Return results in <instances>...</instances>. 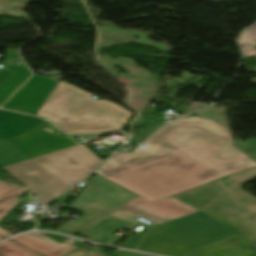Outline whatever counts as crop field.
<instances>
[{
  "label": "crop field",
  "instance_id": "obj_2",
  "mask_svg": "<svg viewBox=\"0 0 256 256\" xmlns=\"http://www.w3.org/2000/svg\"><path fill=\"white\" fill-rule=\"evenodd\" d=\"M232 144L256 161V138ZM256 177V167L195 189L174 195L214 218L239 229L256 242V197L241 189V184ZM222 182L224 186H221ZM248 239V240H249Z\"/></svg>",
  "mask_w": 256,
  "mask_h": 256
},
{
  "label": "crop field",
  "instance_id": "obj_23",
  "mask_svg": "<svg viewBox=\"0 0 256 256\" xmlns=\"http://www.w3.org/2000/svg\"><path fill=\"white\" fill-rule=\"evenodd\" d=\"M6 54L8 59L19 58L17 50L7 49Z\"/></svg>",
  "mask_w": 256,
  "mask_h": 256
},
{
  "label": "crop field",
  "instance_id": "obj_14",
  "mask_svg": "<svg viewBox=\"0 0 256 256\" xmlns=\"http://www.w3.org/2000/svg\"><path fill=\"white\" fill-rule=\"evenodd\" d=\"M6 70L13 73L0 85V105L31 75L26 67L6 65Z\"/></svg>",
  "mask_w": 256,
  "mask_h": 256
},
{
  "label": "crop field",
  "instance_id": "obj_4",
  "mask_svg": "<svg viewBox=\"0 0 256 256\" xmlns=\"http://www.w3.org/2000/svg\"><path fill=\"white\" fill-rule=\"evenodd\" d=\"M233 233L235 231L226 225L198 212L155 227L147 226L128 238L120 247L180 256Z\"/></svg>",
  "mask_w": 256,
  "mask_h": 256
},
{
  "label": "crop field",
  "instance_id": "obj_22",
  "mask_svg": "<svg viewBox=\"0 0 256 256\" xmlns=\"http://www.w3.org/2000/svg\"><path fill=\"white\" fill-rule=\"evenodd\" d=\"M18 187H19V185H17V184H10V183L0 181V198L4 195L10 193L11 191H13L14 189H16Z\"/></svg>",
  "mask_w": 256,
  "mask_h": 256
},
{
  "label": "crop field",
  "instance_id": "obj_10",
  "mask_svg": "<svg viewBox=\"0 0 256 256\" xmlns=\"http://www.w3.org/2000/svg\"><path fill=\"white\" fill-rule=\"evenodd\" d=\"M56 84L55 80L32 76L2 108L34 114Z\"/></svg>",
  "mask_w": 256,
  "mask_h": 256
},
{
  "label": "crop field",
  "instance_id": "obj_25",
  "mask_svg": "<svg viewBox=\"0 0 256 256\" xmlns=\"http://www.w3.org/2000/svg\"><path fill=\"white\" fill-rule=\"evenodd\" d=\"M194 157V156H193ZM196 158V157H195ZM199 160V159H198ZM204 163V162H203ZM206 164V163H205ZM208 165V164H207ZM208 166H210V165H208ZM211 167V166H210ZM211 168H213V167H211ZM213 169H215V168H213ZM216 170V169H215ZM216 171H218V170H216ZM218 172H220V171H218ZM221 173V172H220ZM221 174H223V173H221ZM223 175H225V174H223ZM226 176V175H225Z\"/></svg>",
  "mask_w": 256,
  "mask_h": 256
},
{
  "label": "crop field",
  "instance_id": "obj_18",
  "mask_svg": "<svg viewBox=\"0 0 256 256\" xmlns=\"http://www.w3.org/2000/svg\"><path fill=\"white\" fill-rule=\"evenodd\" d=\"M0 256H40L10 240L0 244Z\"/></svg>",
  "mask_w": 256,
  "mask_h": 256
},
{
  "label": "crop field",
  "instance_id": "obj_26",
  "mask_svg": "<svg viewBox=\"0 0 256 256\" xmlns=\"http://www.w3.org/2000/svg\"><path fill=\"white\" fill-rule=\"evenodd\" d=\"M253 247H256V244L249 246V248H253ZM255 251H256V249H255ZM254 256H256V255H254Z\"/></svg>",
  "mask_w": 256,
  "mask_h": 256
},
{
  "label": "crop field",
  "instance_id": "obj_13",
  "mask_svg": "<svg viewBox=\"0 0 256 256\" xmlns=\"http://www.w3.org/2000/svg\"><path fill=\"white\" fill-rule=\"evenodd\" d=\"M13 240L46 256H61L76 248L72 239L59 244L38 233L23 234Z\"/></svg>",
  "mask_w": 256,
  "mask_h": 256
},
{
  "label": "crop field",
  "instance_id": "obj_3",
  "mask_svg": "<svg viewBox=\"0 0 256 256\" xmlns=\"http://www.w3.org/2000/svg\"><path fill=\"white\" fill-rule=\"evenodd\" d=\"M82 93V96H79ZM60 82L37 115L54 122L67 133L88 134L119 130L133 115L106 100Z\"/></svg>",
  "mask_w": 256,
  "mask_h": 256
},
{
  "label": "crop field",
  "instance_id": "obj_6",
  "mask_svg": "<svg viewBox=\"0 0 256 256\" xmlns=\"http://www.w3.org/2000/svg\"><path fill=\"white\" fill-rule=\"evenodd\" d=\"M32 160L68 188L93 172L103 162L83 144L32 158Z\"/></svg>",
  "mask_w": 256,
  "mask_h": 256
},
{
  "label": "crop field",
  "instance_id": "obj_5",
  "mask_svg": "<svg viewBox=\"0 0 256 256\" xmlns=\"http://www.w3.org/2000/svg\"><path fill=\"white\" fill-rule=\"evenodd\" d=\"M136 195L97 174L85 186L82 194L69 205L85 214L56 232L80 235ZM86 217L89 219L84 220ZM77 221L82 223L72 226Z\"/></svg>",
  "mask_w": 256,
  "mask_h": 256
},
{
  "label": "crop field",
  "instance_id": "obj_28",
  "mask_svg": "<svg viewBox=\"0 0 256 256\" xmlns=\"http://www.w3.org/2000/svg\"><path fill=\"white\" fill-rule=\"evenodd\" d=\"M2 239H4V238H1V237H0V240H2Z\"/></svg>",
  "mask_w": 256,
  "mask_h": 256
},
{
  "label": "crop field",
  "instance_id": "obj_8",
  "mask_svg": "<svg viewBox=\"0 0 256 256\" xmlns=\"http://www.w3.org/2000/svg\"><path fill=\"white\" fill-rule=\"evenodd\" d=\"M195 212L198 211L170 196L151 202L138 195L111 213L110 216L130 221L141 217L158 225Z\"/></svg>",
  "mask_w": 256,
  "mask_h": 256
},
{
  "label": "crop field",
  "instance_id": "obj_12",
  "mask_svg": "<svg viewBox=\"0 0 256 256\" xmlns=\"http://www.w3.org/2000/svg\"><path fill=\"white\" fill-rule=\"evenodd\" d=\"M43 121L40 118L0 110V142L27 132Z\"/></svg>",
  "mask_w": 256,
  "mask_h": 256
},
{
  "label": "crop field",
  "instance_id": "obj_1",
  "mask_svg": "<svg viewBox=\"0 0 256 256\" xmlns=\"http://www.w3.org/2000/svg\"><path fill=\"white\" fill-rule=\"evenodd\" d=\"M142 145L174 152L96 173L154 201L225 177L193 155L226 175L256 166L213 132L187 124L170 122Z\"/></svg>",
  "mask_w": 256,
  "mask_h": 256
},
{
  "label": "crop field",
  "instance_id": "obj_19",
  "mask_svg": "<svg viewBox=\"0 0 256 256\" xmlns=\"http://www.w3.org/2000/svg\"><path fill=\"white\" fill-rule=\"evenodd\" d=\"M170 120V118L162 117L156 119L151 123L144 126L139 132H137L129 142L131 143H141L147 136H149L156 128Z\"/></svg>",
  "mask_w": 256,
  "mask_h": 256
},
{
  "label": "crop field",
  "instance_id": "obj_27",
  "mask_svg": "<svg viewBox=\"0 0 256 256\" xmlns=\"http://www.w3.org/2000/svg\"><path fill=\"white\" fill-rule=\"evenodd\" d=\"M211 1H221V0H211Z\"/></svg>",
  "mask_w": 256,
  "mask_h": 256
},
{
  "label": "crop field",
  "instance_id": "obj_11",
  "mask_svg": "<svg viewBox=\"0 0 256 256\" xmlns=\"http://www.w3.org/2000/svg\"><path fill=\"white\" fill-rule=\"evenodd\" d=\"M249 243L236 233L183 256H248L253 253L246 249Z\"/></svg>",
  "mask_w": 256,
  "mask_h": 256
},
{
  "label": "crop field",
  "instance_id": "obj_9",
  "mask_svg": "<svg viewBox=\"0 0 256 256\" xmlns=\"http://www.w3.org/2000/svg\"><path fill=\"white\" fill-rule=\"evenodd\" d=\"M3 169L9 171L22 183L39 194L44 205L68 189L31 159Z\"/></svg>",
  "mask_w": 256,
  "mask_h": 256
},
{
  "label": "crop field",
  "instance_id": "obj_20",
  "mask_svg": "<svg viewBox=\"0 0 256 256\" xmlns=\"http://www.w3.org/2000/svg\"><path fill=\"white\" fill-rule=\"evenodd\" d=\"M175 122H181V123H187V124H191V125H195V126L206 127L208 129H210L211 131H213L214 133H216L217 135H219L220 137H222L223 139L231 142V137L226 132L220 130L219 128H217L216 126L212 125L211 123H209L207 121L194 120V119H181V120H177Z\"/></svg>",
  "mask_w": 256,
  "mask_h": 256
},
{
  "label": "crop field",
  "instance_id": "obj_7",
  "mask_svg": "<svg viewBox=\"0 0 256 256\" xmlns=\"http://www.w3.org/2000/svg\"><path fill=\"white\" fill-rule=\"evenodd\" d=\"M73 145L76 144L66 136L35 129L28 134L0 144V165L4 167Z\"/></svg>",
  "mask_w": 256,
  "mask_h": 256
},
{
  "label": "crop field",
  "instance_id": "obj_15",
  "mask_svg": "<svg viewBox=\"0 0 256 256\" xmlns=\"http://www.w3.org/2000/svg\"><path fill=\"white\" fill-rule=\"evenodd\" d=\"M172 152L169 149H166V151L160 152L157 148L154 147H146L144 150L131 153V154H125V153H116L108 162L104 164V166L99 170H106L118 166L125 165L127 163L135 162L138 160L146 159L149 157L161 155L164 153Z\"/></svg>",
  "mask_w": 256,
  "mask_h": 256
},
{
  "label": "crop field",
  "instance_id": "obj_16",
  "mask_svg": "<svg viewBox=\"0 0 256 256\" xmlns=\"http://www.w3.org/2000/svg\"><path fill=\"white\" fill-rule=\"evenodd\" d=\"M27 190H29L28 187L21 186L0 199V219H2L8 212H10L16 204L21 202L19 200V195ZM0 235L8 237L12 234L0 228Z\"/></svg>",
  "mask_w": 256,
  "mask_h": 256
},
{
  "label": "crop field",
  "instance_id": "obj_24",
  "mask_svg": "<svg viewBox=\"0 0 256 256\" xmlns=\"http://www.w3.org/2000/svg\"><path fill=\"white\" fill-rule=\"evenodd\" d=\"M11 74V72L0 70V84Z\"/></svg>",
  "mask_w": 256,
  "mask_h": 256
},
{
  "label": "crop field",
  "instance_id": "obj_17",
  "mask_svg": "<svg viewBox=\"0 0 256 256\" xmlns=\"http://www.w3.org/2000/svg\"><path fill=\"white\" fill-rule=\"evenodd\" d=\"M239 44L244 52V57L256 56V51L254 50V46L256 45V24L242 33L239 38Z\"/></svg>",
  "mask_w": 256,
  "mask_h": 256
},
{
  "label": "crop field",
  "instance_id": "obj_21",
  "mask_svg": "<svg viewBox=\"0 0 256 256\" xmlns=\"http://www.w3.org/2000/svg\"><path fill=\"white\" fill-rule=\"evenodd\" d=\"M63 256H104V255H102L100 252H98L95 249L88 251V250L77 247L76 249L72 250L71 252Z\"/></svg>",
  "mask_w": 256,
  "mask_h": 256
}]
</instances>
